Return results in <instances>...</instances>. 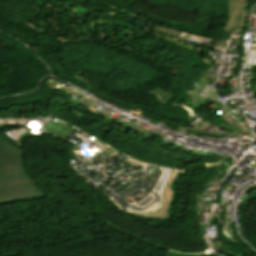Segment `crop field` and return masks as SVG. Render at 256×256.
<instances>
[{"mask_svg": "<svg viewBox=\"0 0 256 256\" xmlns=\"http://www.w3.org/2000/svg\"><path fill=\"white\" fill-rule=\"evenodd\" d=\"M46 196L25 165L0 169V205Z\"/></svg>", "mask_w": 256, "mask_h": 256, "instance_id": "1", "label": "crop field"}, {"mask_svg": "<svg viewBox=\"0 0 256 256\" xmlns=\"http://www.w3.org/2000/svg\"><path fill=\"white\" fill-rule=\"evenodd\" d=\"M229 2V20L227 26L222 30L224 32H234L239 27L243 10L248 0H229Z\"/></svg>", "mask_w": 256, "mask_h": 256, "instance_id": "3", "label": "crop field"}, {"mask_svg": "<svg viewBox=\"0 0 256 256\" xmlns=\"http://www.w3.org/2000/svg\"><path fill=\"white\" fill-rule=\"evenodd\" d=\"M24 151L15 147L0 134V168L24 165Z\"/></svg>", "mask_w": 256, "mask_h": 256, "instance_id": "2", "label": "crop field"}]
</instances>
